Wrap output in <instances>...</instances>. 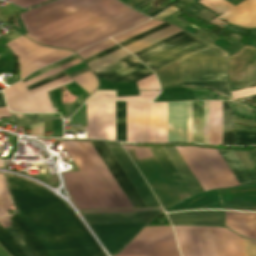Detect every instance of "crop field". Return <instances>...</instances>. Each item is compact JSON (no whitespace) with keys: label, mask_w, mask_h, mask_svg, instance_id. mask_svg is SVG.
I'll use <instances>...</instances> for the list:
<instances>
[{"label":"crop field","mask_w":256,"mask_h":256,"mask_svg":"<svg viewBox=\"0 0 256 256\" xmlns=\"http://www.w3.org/2000/svg\"><path fill=\"white\" fill-rule=\"evenodd\" d=\"M15 214L0 218V244L12 256H105L63 202L23 179L6 175Z\"/></svg>","instance_id":"1"},{"label":"crop field","mask_w":256,"mask_h":256,"mask_svg":"<svg viewBox=\"0 0 256 256\" xmlns=\"http://www.w3.org/2000/svg\"><path fill=\"white\" fill-rule=\"evenodd\" d=\"M228 55L211 45L180 61L184 86L209 87L231 100L225 73Z\"/></svg>","instance_id":"2"},{"label":"crop field","mask_w":256,"mask_h":256,"mask_svg":"<svg viewBox=\"0 0 256 256\" xmlns=\"http://www.w3.org/2000/svg\"><path fill=\"white\" fill-rule=\"evenodd\" d=\"M127 142L167 143L166 103L126 102Z\"/></svg>","instance_id":"3"},{"label":"crop field","mask_w":256,"mask_h":256,"mask_svg":"<svg viewBox=\"0 0 256 256\" xmlns=\"http://www.w3.org/2000/svg\"><path fill=\"white\" fill-rule=\"evenodd\" d=\"M204 191L239 186L217 150L176 148Z\"/></svg>","instance_id":"4"},{"label":"crop field","mask_w":256,"mask_h":256,"mask_svg":"<svg viewBox=\"0 0 256 256\" xmlns=\"http://www.w3.org/2000/svg\"><path fill=\"white\" fill-rule=\"evenodd\" d=\"M149 18L128 8L110 18L49 44L57 48H68L75 52L106 38L121 33Z\"/></svg>","instance_id":"5"},{"label":"crop field","mask_w":256,"mask_h":256,"mask_svg":"<svg viewBox=\"0 0 256 256\" xmlns=\"http://www.w3.org/2000/svg\"><path fill=\"white\" fill-rule=\"evenodd\" d=\"M126 8L128 7L116 0H107L26 36L40 44L47 45Z\"/></svg>","instance_id":"6"},{"label":"crop field","mask_w":256,"mask_h":256,"mask_svg":"<svg viewBox=\"0 0 256 256\" xmlns=\"http://www.w3.org/2000/svg\"><path fill=\"white\" fill-rule=\"evenodd\" d=\"M209 45L211 44L181 31L133 55L156 71Z\"/></svg>","instance_id":"7"},{"label":"crop field","mask_w":256,"mask_h":256,"mask_svg":"<svg viewBox=\"0 0 256 256\" xmlns=\"http://www.w3.org/2000/svg\"><path fill=\"white\" fill-rule=\"evenodd\" d=\"M101 1L103 0H59L29 10L20 18L26 30L30 33Z\"/></svg>","instance_id":"8"},{"label":"crop field","mask_w":256,"mask_h":256,"mask_svg":"<svg viewBox=\"0 0 256 256\" xmlns=\"http://www.w3.org/2000/svg\"><path fill=\"white\" fill-rule=\"evenodd\" d=\"M127 153L152 187L163 209L182 200L151 153Z\"/></svg>","instance_id":"9"},{"label":"crop field","mask_w":256,"mask_h":256,"mask_svg":"<svg viewBox=\"0 0 256 256\" xmlns=\"http://www.w3.org/2000/svg\"><path fill=\"white\" fill-rule=\"evenodd\" d=\"M181 256H218L209 227H173Z\"/></svg>","instance_id":"10"},{"label":"crop field","mask_w":256,"mask_h":256,"mask_svg":"<svg viewBox=\"0 0 256 256\" xmlns=\"http://www.w3.org/2000/svg\"><path fill=\"white\" fill-rule=\"evenodd\" d=\"M153 72L131 55L96 72V77L114 83L138 81Z\"/></svg>","instance_id":"11"},{"label":"crop field","mask_w":256,"mask_h":256,"mask_svg":"<svg viewBox=\"0 0 256 256\" xmlns=\"http://www.w3.org/2000/svg\"><path fill=\"white\" fill-rule=\"evenodd\" d=\"M147 223L90 226L98 239L113 255L121 250L130 239Z\"/></svg>","instance_id":"12"},{"label":"crop field","mask_w":256,"mask_h":256,"mask_svg":"<svg viewBox=\"0 0 256 256\" xmlns=\"http://www.w3.org/2000/svg\"><path fill=\"white\" fill-rule=\"evenodd\" d=\"M148 210H161V208L92 210V211H80V213L148 211ZM160 212L161 211L122 212V213H95V214H83V216L86 219L88 225L138 223V222H149L153 217H155Z\"/></svg>","instance_id":"13"},{"label":"crop field","mask_w":256,"mask_h":256,"mask_svg":"<svg viewBox=\"0 0 256 256\" xmlns=\"http://www.w3.org/2000/svg\"><path fill=\"white\" fill-rule=\"evenodd\" d=\"M240 185L256 182V150L240 152L218 150Z\"/></svg>","instance_id":"14"},{"label":"crop field","mask_w":256,"mask_h":256,"mask_svg":"<svg viewBox=\"0 0 256 256\" xmlns=\"http://www.w3.org/2000/svg\"><path fill=\"white\" fill-rule=\"evenodd\" d=\"M115 159L118 161L134 187L136 188L137 192L147 205V207H154L159 206L157 201L155 200L154 196L150 192L149 188L141 178L140 174L128 158L127 154L121 147V145L111 144L105 142Z\"/></svg>","instance_id":"15"},{"label":"crop field","mask_w":256,"mask_h":256,"mask_svg":"<svg viewBox=\"0 0 256 256\" xmlns=\"http://www.w3.org/2000/svg\"><path fill=\"white\" fill-rule=\"evenodd\" d=\"M91 144L103 159L133 207H146L104 142H91Z\"/></svg>","instance_id":"16"},{"label":"crop field","mask_w":256,"mask_h":256,"mask_svg":"<svg viewBox=\"0 0 256 256\" xmlns=\"http://www.w3.org/2000/svg\"><path fill=\"white\" fill-rule=\"evenodd\" d=\"M218 18L226 22L245 28H256V0H247L224 14L218 16L210 23L223 28L226 24L217 20ZM249 30L241 29L240 34L248 36Z\"/></svg>","instance_id":"17"},{"label":"crop field","mask_w":256,"mask_h":256,"mask_svg":"<svg viewBox=\"0 0 256 256\" xmlns=\"http://www.w3.org/2000/svg\"><path fill=\"white\" fill-rule=\"evenodd\" d=\"M168 143L187 142L186 102L167 103Z\"/></svg>","instance_id":"18"},{"label":"crop field","mask_w":256,"mask_h":256,"mask_svg":"<svg viewBox=\"0 0 256 256\" xmlns=\"http://www.w3.org/2000/svg\"><path fill=\"white\" fill-rule=\"evenodd\" d=\"M171 224L226 226V211H197L167 214Z\"/></svg>","instance_id":"19"},{"label":"crop field","mask_w":256,"mask_h":256,"mask_svg":"<svg viewBox=\"0 0 256 256\" xmlns=\"http://www.w3.org/2000/svg\"><path fill=\"white\" fill-rule=\"evenodd\" d=\"M254 48L245 46L236 55L230 56L228 78L230 83L250 81Z\"/></svg>","instance_id":"20"},{"label":"crop field","mask_w":256,"mask_h":256,"mask_svg":"<svg viewBox=\"0 0 256 256\" xmlns=\"http://www.w3.org/2000/svg\"><path fill=\"white\" fill-rule=\"evenodd\" d=\"M210 228L219 256H245L240 237L225 228Z\"/></svg>","instance_id":"21"},{"label":"crop field","mask_w":256,"mask_h":256,"mask_svg":"<svg viewBox=\"0 0 256 256\" xmlns=\"http://www.w3.org/2000/svg\"><path fill=\"white\" fill-rule=\"evenodd\" d=\"M227 227L243 237L256 239V213L227 211Z\"/></svg>","instance_id":"22"},{"label":"crop field","mask_w":256,"mask_h":256,"mask_svg":"<svg viewBox=\"0 0 256 256\" xmlns=\"http://www.w3.org/2000/svg\"><path fill=\"white\" fill-rule=\"evenodd\" d=\"M149 150L153 153L168 178L182 197V199L192 195V192L183 181L171 161L168 159L162 148H149Z\"/></svg>","instance_id":"23"},{"label":"crop field","mask_w":256,"mask_h":256,"mask_svg":"<svg viewBox=\"0 0 256 256\" xmlns=\"http://www.w3.org/2000/svg\"><path fill=\"white\" fill-rule=\"evenodd\" d=\"M99 139L115 141V102L98 103Z\"/></svg>","instance_id":"24"},{"label":"crop field","mask_w":256,"mask_h":256,"mask_svg":"<svg viewBox=\"0 0 256 256\" xmlns=\"http://www.w3.org/2000/svg\"><path fill=\"white\" fill-rule=\"evenodd\" d=\"M169 159L172 161L184 181L187 183L193 194L202 192L203 189L196 181L184 161L181 159L175 148H163Z\"/></svg>","instance_id":"25"},{"label":"crop field","mask_w":256,"mask_h":256,"mask_svg":"<svg viewBox=\"0 0 256 256\" xmlns=\"http://www.w3.org/2000/svg\"><path fill=\"white\" fill-rule=\"evenodd\" d=\"M210 144H221L222 102H209Z\"/></svg>","instance_id":"26"},{"label":"crop field","mask_w":256,"mask_h":256,"mask_svg":"<svg viewBox=\"0 0 256 256\" xmlns=\"http://www.w3.org/2000/svg\"><path fill=\"white\" fill-rule=\"evenodd\" d=\"M155 73L161 89L183 86L179 61Z\"/></svg>","instance_id":"27"},{"label":"crop field","mask_w":256,"mask_h":256,"mask_svg":"<svg viewBox=\"0 0 256 256\" xmlns=\"http://www.w3.org/2000/svg\"><path fill=\"white\" fill-rule=\"evenodd\" d=\"M82 144L84 145L86 150L89 152L97 166L100 168V170L106 177L107 181L111 185L112 189L116 193L124 208L132 207V205L130 204V202L128 201V199L126 198V196L124 195V193L122 192V190L120 189V187L118 186V184L116 183V181L114 180V178L112 177V175L110 174V172L108 171V169L96 153L90 142H82Z\"/></svg>","instance_id":"28"},{"label":"crop field","mask_w":256,"mask_h":256,"mask_svg":"<svg viewBox=\"0 0 256 256\" xmlns=\"http://www.w3.org/2000/svg\"><path fill=\"white\" fill-rule=\"evenodd\" d=\"M181 30L175 28L174 26L170 25L146 38H143L135 43H132L126 47H124V49H126L128 52H130L131 54L153 44L156 43L168 36H171L177 32H179Z\"/></svg>","instance_id":"29"},{"label":"crop field","mask_w":256,"mask_h":256,"mask_svg":"<svg viewBox=\"0 0 256 256\" xmlns=\"http://www.w3.org/2000/svg\"><path fill=\"white\" fill-rule=\"evenodd\" d=\"M73 132H87V138L98 139L97 103L87 104V126L72 127Z\"/></svg>","instance_id":"30"},{"label":"crop field","mask_w":256,"mask_h":256,"mask_svg":"<svg viewBox=\"0 0 256 256\" xmlns=\"http://www.w3.org/2000/svg\"><path fill=\"white\" fill-rule=\"evenodd\" d=\"M235 145H256V128L234 126Z\"/></svg>","instance_id":"31"},{"label":"crop field","mask_w":256,"mask_h":256,"mask_svg":"<svg viewBox=\"0 0 256 256\" xmlns=\"http://www.w3.org/2000/svg\"><path fill=\"white\" fill-rule=\"evenodd\" d=\"M222 144L233 145V112L228 102H223Z\"/></svg>","instance_id":"32"},{"label":"crop field","mask_w":256,"mask_h":256,"mask_svg":"<svg viewBox=\"0 0 256 256\" xmlns=\"http://www.w3.org/2000/svg\"><path fill=\"white\" fill-rule=\"evenodd\" d=\"M59 52L21 70L20 68V75H21V79L25 78L26 76H28L30 73H32L33 71L42 68L48 64H52L55 63L61 59H64L66 57H68L69 55L73 54L72 52L69 51H62V50H58Z\"/></svg>","instance_id":"33"},{"label":"crop field","mask_w":256,"mask_h":256,"mask_svg":"<svg viewBox=\"0 0 256 256\" xmlns=\"http://www.w3.org/2000/svg\"><path fill=\"white\" fill-rule=\"evenodd\" d=\"M193 142L203 144L202 101L193 102Z\"/></svg>","instance_id":"34"},{"label":"crop field","mask_w":256,"mask_h":256,"mask_svg":"<svg viewBox=\"0 0 256 256\" xmlns=\"http://www.w3.org/2000/svg\"><path fill=\"white\" fill-rule=\"evenodd\" d=\"M5 45L13 51L14 55L17 58L42 47L30 42L27 38L23 36Z\"/></svg>","instance_id":"35"},{"label":"crop field","mask_w":256,"mask_h":256,"mask_svg":"<svg viewBox=\"0 0 256 256\" xmlns=\"http://www.w3.org/2000/svg\"><path fill=\"white\" fill-rule=\"evenodd\" d=\"M162 23H164V22L156 21V20H150V21H148L144 24H141V25H139V26H137L133 29H130V30L118 35V36H115L112 39L114 41H116L118 44H120V43H122V42H124V41H126V40H128L132 37H135V36L145 32L149 29H152V28H154V27H156V26H158Z\"/></svg>","instance_id":"36"},{"label":"crop field","mask_w":256,"mask_h":256,"mask_svg":"<svg viewBox=\"0 0 256 256\" xmlns=\"http://www.w3.org/2000/svg\"><path fill=\"white\" fill-rule=\"evenodd\" d=\"M116 141L126 142L125 102H116Z\"/></svg>","instance_id":"37"},{"label":"crop field","mask_w":256,"mask_h":256,"mask_svg":"<svg viewBox=\"0 0 256 256\" xmlns=\"http://www.w3.org/2000/svg\"><path fill=\"white\" fill-rule=\"evenodd\" d=\"M127 55H129V53H127L125 50H123L121 48V49H118V50L88 64V67L91 69L92 72H94V71H96L110 63H113Z\"/></svg>","instance_id":"38"},{"label":"crop field","mask_w":256,"mask_h":256,"mask_svg":"<svg viewBox=\"0 0 256 256\" xmlns=\"http://www.w3.org/2000/svg\"><path fill=\"white\" fill-rule=\"evenodd\" d=\"M75 143L77 144V146L79 147V149L81 150V152L83 153V155L85 156V158L87 159V161L89 162V164L91 165V167L93 168V170L95 171V173L97 174V176L99 177V179L101 180L105 188L107 189L108 193L110 194V196L112 197V199L114 200L118 208H123V206L121 205V203L119 202L115 194L113 193L112 189L110 188V186L108 185V183L106 182V180L104 179V177L102 176V174L100 173V171L98 170L94 162L92 161L91 157L89 156V154L87 153V151L85 150L81 142L75 141Z\"/></svg>","instance_id":"39"},{"label":"crop field","mask_w":256,"mask_h":256,"mask_svg":"<svg viewBox=\"0 0 256 256\" xmlns=\"http://www.w3.org/2000/svg\"><path fill=\"white\" fill-rule=\"evenodd\" d=\"M116 45L113 41H111L110 39L104 40L102 42H99L79 53H77L83 60L99 53L102 52L112 46Z\"/></svg>","instance_id":"40"},{"label":"crop field","mask_w":256,"mask_h":256,"mask_svg":"<svg viewBox=\"0 0 256 256\" xmlns=\"http://www.w3.org/2000/svg\"><path fill=\"white\" fill-rule=\"evenodd\" d=\"M198 3L202 4L203 6L209 8L210 10L214 11L219 15L234 7L225 0H202Z\"/></svg>","instance_id":"41"},{"label":"crop field","mask_w":256,"mask_h":256,"mask_svg":"<svg viewBox=\"0 0 256 256\" xmlns=\"http://www.w3.org/2000/svg\"><path fill=\"white\" fill-rule=\"evenodd\" d=\"M11 202L6 191L4 179L0 174V216H7Z\"/></svg>","instance_id":"42"},{"label":"crop field","mask_w":256,"mask_h":256,"mask_svg":"<svg viewBox=\"0 0 256 256\" xmlns=\"http://www.w3.org/2000/svg\"><path fill=\"white\" fill-rule=\"evenodd\" d=\"M55 49H51V48H47V47H42L32 53H29L21 58L18 59L19 61V67L37 59V58H40L52 51H54Z\"/></svg>","instance_id":"43"},{"label":"crop field","mask_w":256,"mask_h":256,"mask_svg":"<svg viewBox=\"0 0 256 256\" xmlns=\"http://www.w3.org/2000/svg\"><path fill=\"white\" fill-rule=\"evenodd\" d=\"M116 256H179V253L177 250H168V251L120 253Z\"/></svg>","instance_id":"44"},{"label":"crop field","mask_w":256,"mask_h":256,"mask_svg":"<svg viewBox=\"0 0 256 256\" xmlns=\"http://www.w3.org/2000/svg\"><path fill=\"white\" fill-rule=\"evenodd\" d=\"M137 84H138L139 90L159 89L158 83L154 74L138 81Z\"/></svg>","instance_id":"45"},{"label":"crop field","mask_w":256,"mask_h":256,"mask_svg":"<svg viewBox=\"0 0 256 256\" xmlns=\"http://www.w3.org/2000/svg\"><path fill=\"white\" fill-rule=\"evenodd\" d=\"M204 144H209L208 102L203 101Z\"/></svg>","instance_id":"46"},{"label":"crop field","mask_w":256,"mask_h":256,"mask_svg":"<svg viewBox=\"0 0 256 256\" xmlns=\"http://www.w3.org/2000/svg\"><path fill=\"white\" fill-rule=\"evenodd\" d=\"M247 256H256V241L241 238Z\"/></svg>","instance_id":"47"},{"label":"crop field","mask_w":256,"mask_h":256,"mask_svg":"<svg viewBox=\"0 0 256 256\" xmlns=\"http://www.w3.org/2000/svg\"><path fill=\"white\" fill-rule=\"evenodd\" d=\"M168 25H170V24L164 23V24H162V25H160V26H158V27H156V28H154V29H152V30H149V31H147V32H145V33H143V34H141V35L135 37V38H132V39H130V40H128V41H126V42L120 44V45H121L122 47H124V46H126V45H128V44H130V43H132V42H135V41H137V40H139V39H141V38H143V37H146V36H148V35H150V34L156 32V31H158V30H160V29H162V28H164V27H166V26H168Z\"/></svg>","instance_id":"48"},{"label":"crop field","mask_w":256,"mask_h":256,"mask_svg":"<svg viewBox=\"0 0 256 256\" xmlns=\"http://www.w3.org/2000/svg\"><path fill=\"white\" fill-rule=\"evenodd\" d=\"M61 71H62V70L56 68V69H54V70H52V71H50V72H48V73H45V74H43V75H41V76H39V77H37V78H35V79H32V80H30V81L24 83V85H25V87H27V86H29V85H31V84H34V83H36V82H38V81H41V80H43V79H45V78H47V77H50V76H52V75H54V74H57V73H59V72H61Z\"/></svg>","instance_id":"49"},{"label":"crop field","mask_w":256,"mask_h":256,"mask_svg":"<svg viewBox=\"0 0 256 256\" xmlns=\"http://www.w3.org/2000/svg\"><path fill=\"white\" fill-rule=\"evenodd\" d=\"M188 112V142H192V102H187Z\"/></svg>","instance_id":"50"},{"label":"crop field","mask_w":256,"mask_h":256,"mask_svg":"<svg viewBox=\"0 0 256 256\" xmlns=\"http://www.w3.org/2000/svg\"><path fill=\"white\" fill-rule=\"evenodd\" d=\"M63 76H65V74H64L63 72H61V73H59V74H57V75H54V76H52V77H50V78H47V79H45V80H43V81H41V82H38V83H36V84H34V85H31V86L27 87V90L30 91V90H32V89H34V88H37V87H39V86H42V85H44V84H46V83H49V82H51V81H53V80H56V79H58V78H61V77H63Z\"/></svg>","instance_id":"51"},{"label":"crop field","mask_w":256,"mask_h":256,"mask_svg":"<svg viewBox=\"0 0 256 256\" xmlns=\"http://www.w3.org/2000/svg\"><path fill=\"white\" fill-rule=\"evenodd\" d=\"M8 1H10L20 7L26 8L28 6L40 3L45 0H8Z\"/></svg>","instance_id":"52"},{"label":"crop field","mask_w":256,"mask_h":256,"mask_svg":"<svg viewBox=\"0 0 256 256\" xmlns=\"http://www.w3.org/2000/svg\"><path fill=\"white\" fill-rule=\"evenodd\" d=\"M233 98H240L252 94H256V87L255 88H250V89H245V90H239V91H234L232 92Z\"/></svg>","instance_id":"53"},{"label":"crop field","mask_w":256,"mask_h":256,"mask_svg":"<svg viewBox=\"0 0 256 256\" xmlns=\"http://www.w3.org/2000/svg\"><path fill=\"white\" fill-rule=\"evenodd\" d=\"M142 101H152L159 91H139Z\"/></svg>","instance_id":"54"},{"label":"crop field","mask_w":256,"mask_h":256,"mask_svg":"<svg viewBox=\"0 0 256 256\" xmlns=\"http://www.w3.org/2000/svg\"><path fill=\"white\" fill-rule=\"evenodd\" d=\"M31 135L43 137V123L31 126Z\"/></svg>","instance_id":"55"},{"label":"crop field","mask_w":256,"mask_h":256,"mask_svg":"<svg viewBox=\"0 0 256 256\" xmlns=\"http://www.w3.org/2000/svg\"><path fill=\"white\" fill-rule=\"evenodd\" d=\"M118 48H120V47L118 45H116V46H114V47H112V48H110V49H108V50H106V51H104L102 53H99V54H97V55H95V56L85 60V63L88 64V63H90V62H92V61H94V60H96V59H98V58H100V57H102V56H104V55H106V54H108V53L118 49Z\"/></svg>","instance_id":"56"},{"label":"crop field","mask_w":256,"mask_h":256,"mask_svg":"<svg viewBox=\"0 0 256 256\" xmlns=\"http://www.w3.org/2000/svg\"><path fill=\"white\" fill-rule=\"evenodd\" d=\"M11 114L15 120L17 127L27 123L24 114H15V113H11Z\"/></svg>","instance_id":"57"},{"label":"crop field","mask_w":256,"mask_h":256,"mask_svg":"<svg viewBox=\"0 0 256 256\" xmlns=\"http://www.w3.org/2000/svg\"><path fill=\"white\" fill-rule=\"evenodd\" d=\"M54 68H56V67L49 66V67H47V68H45V69H42V70H40V71H38V72H35V73L31 74L30 76H28L26 79H24V80L22 81V83H24V82H26V81H28V80H30V79H32V78H35V77H37V76H39V75H41V74H43V73H45V72H48V71H50V70H52V69H54Z\"/></svg>","instance_id":"58"},{"label":"crop field","mask_w":256,"mask_h":256,"mask_svg":"<svg viewBox=\"0 0 256 256\" xmlns=\"http://www.w3.org/2000/svg\"><path fill=\"white\" fill-rule=\"evenodd\" d=\"M178 11V9L174 8V7H169L168 9H166L165 11H163L162 13H160L158 16H156L155 18L157 19H163L167 16H169L170 14L174 13Z\"/></svg>","instance_id":"59"},{"label":"crop field","mask_w":256,"mask_h":256,"mask_svg":"<svg viewBox=\"0 0 256 256\" xmlns=\"http://www.w3.org/2000/svg\"><path fill=\"white\" fill-rule=\"evenodd\" d=\"M67 79H69L67 76H65V77H63V78H61V79H58V80H56V81H53V82H51V83H49V84H46V85H44V86H42V87H39V88H37V89H34V90H32V91H30V94H32V93H34V92H37V91H39V90H42V89H44V88H47V87H49V86H52V85H54V84H57V83H59V82H62V81H64V80H67Z\"/></svg>","instance_id":"60"},{"label":"crop field","mask_w":256,"mask_h":256,"mask_svg":"<svg viewBox=\"0 0 256 256\" xmlns=\"http://www.w3.org/2000/svg\"><path fill=\"white\" fill-rule=\"evenodd\" d=\"M34 100H35L37 112L38 113H46L45 109H44V106H43V103H42V100H41V97L40 96L35 97Z\"/></svg>","instance_id":"61"},{"label":"crop field","mask_w":256,"mask_h":256,"mask_svg":"<svg viewBox=\"0 0 256 256\" xmlns=\"http://www.w3.org/2000/svg\"><path fill=\"white\" fill-rule=\"evenodd\" d=\"M4 38H6L8 41H11L19 36H21L19 33L15 32V31H10L4 35H2Z\"/></svg>","instance_id":"62"},{"label":"crop field","mask_w":256,"mask_h":256,"mask_svg":"<svg viewBox=\"0 0 256 256\" xmlns=\"http://www.w3.org/2000/svg\"><path fill=\"white\" fill-rule=\"evenodd\" d=\"M76 59H78V57H77L76 55H74V56H71V57H69V58H66V59H64V60H62V61H59V62L55 63L54 65L60 67V66H62V65H64V64H67V63H69V62H71V61H74V60H76Z\"/></svg>","instance_id":"63"},{"label":"crop field","mask_w":256,"mask_h":256,"mask_svg":"<svg viewBox=\"0 0 256 256\" xmlns=\"http://www.w3.org/2000/svg\"><path fill=\"white\" fill-rule=\"evenodd\" d=\"M25 115L28 123L39 120L38 114H25Z\"/></svg>","instance_id":"64"},{"label":"crop field","mask_w":256,"mask_h":256,"mask_svg":"<svg viewBox=\"0 0 256 256\" xmlns=\"http://www.w3.org/2000/svg\"><path fill=\"white\" fill-rule=\"evenodd\" d=\"M82 61L80 60V59H78V60H76V61H74V62H71V63H69V64H67V65H64V66H62V67H60L62 70H64V69H66V68H69V67H71V66H74V65H76V64H79V63H81Z\"/></svg>","instance_id":"65"},{"label":"crop field","mask_w":256,"mask_h":256,"mask_svg":"<svg viewBox=\"0 0 256 256\" xmlns=\"http://www.w3.org/2000/svg\"><path fill=\"white\" fill-rule=\"evenodd\" d=\"M86 72H88V69H87V68H85V69H83V70H81V71H78V72H76V73H73V74H71V75H69V76H70L71 78H73V77H75V76L81 75V74L86 73Z\"/></svg>","instance_id":"66"},{"label":"crop field","mask_w":256,"mask_h":256,"mask_svg":"<svg viewBox=\"0 0 256 256\" xmlns=\"http://www.w3.org/2000/svg\"><path fill=\"white\" fill-rule=\"evenodd\" d=\"M164 9H165L164 7H160L158 9H156L155 11H153L151 14H149V16L153 17Z\"/></svg>","instance_id":"67"},{"label":"crop field","mask_w":256,"mask_h":256,"mask_svg":"<svg viewBox=\"0 0 256 256\" xmlns=\"http://www.w3.org/2000/svg\"><path fill=\"white\" fill-rule=\"evenodd\" d=\"M141 1H143V0H132V1L128 2V3H126V4L129 5V6H133V5H135V4H137V3L141 2Z\"/></svg>","instance_id":"68"},{"label":"crop field","mask_w":256,"mask_h":256,"mask_svg":"<svg viewBox=\"0 0 256 256\" xmlns=\"http://www.w3.org/2000/svg\"><path fill=\"white\" fill-rule=\"evenodd\" d=\"M0 256H9L1 246H0Z\"/></svg>","instance_id":"69"},{"label":"crop field","mask_w":256,"mask_h":256,"mask_svg":"<svg viewBox=\"0 0 256 256\" xmlns=\"http://www.w3.org/2000/svg\"><path fill=\"white\" fill-rule=\"evenodd\" d=\"M2 106H6V105H5V103H4L2 94H1V92H0V107H2Z\"/></svg>","instance_id":"70"},{"label":"crop field","mask_w":256,"mask_h":256,"mask_svg":"<svg viewBox=\"0 0 256 256\" xmlns=\"http://www.w3.org/2000/svg\"><path fill=\"white\" fill-rule=\"evenodd\" d=\"M158 1H160V0H158ZM158 1H156V2H158ZM156 2H154V3H156ZM153 4H151V5H153ZM151 5H149L148 7H150ZM148 7H146V8H148ZM146 8L142 9L141 11L145 10Z\"/></svg>","instance_id":"71"},{"label":"crop field","mask_w":256,"mask_h":256,"mask_svg":"<svg viewBox=\"0 0 256 256\" xmlns=\"http://www.w3.org/2000/svg\"><path fill=\"white\" fill-rule=\"evenodd\" d=\"M0 168H3L1 162H0Z\"/></svg>","instance_id":"72"}]
</instances>
